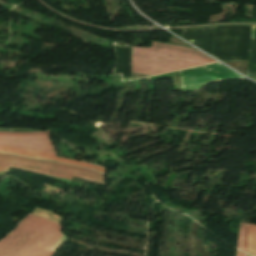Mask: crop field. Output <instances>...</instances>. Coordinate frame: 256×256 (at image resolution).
Segmentation results:
<instances>
[{"label": "crop field", "mask_w": 256, "mask_h": 256, "mask_svg": "<svg viewBox=\"0 0 256 256\" xmlns=\"http://www.w3.org/2000/svg\"><path fill=\"white\" fill-rule=\"evenodd\" d=\"M66 239L60 224L30 214L0 240V256H52Z\"/></svg>", "instance_id": "obj_1"}, {"label": "crop field", "mask_w": 256, "mask_h": 256, "mask_svg": "<svg viewBox=\"0 0 256 256\" xmlns=\"http://www.w3.org/2000/svg\"><path fill=\"white\" fill-rule=\"evenodd\" d=\"M209 62L214 61L193 49L157 42L152 48L132 47V72L137 73L156 75Z\"/></svg>", "instance_id": "obj_2"}, {"label": "crop field", "mask_w": 256, "mask_h": 256, "mask_svg": "<svg viewBox=\"0 0 256 256\" xmlns=\"http://www.w3.org/2000/svg\"><path fill=\"white\" fill-rule=\"evenodd\" d=\"M0 145L54 153V146L50 140L49 131L39 133H10L0 132ZM0 153L15 154L19 156L33 157V158H45L57 162L69 163L85 168L105 172V168H101L95 165L73 161L69 159L59 158L53 154L11 148L0 146Z\"/></svg>", "instance_id": "obj_3"}, {"label": "crop field", "mask_w": 256, "mask_h": 256, "mask_svg": "<svg viewBox=\"0 0 256 256\" xmlns=\"http://www.w3.org/2000/svg\"><path fill=\"white\" fill-rule=\"evenodd\" d=\"M8 166L69 180L75 176L105 185L103 173L43 160L0 155V170L6 171Z\"/></svg>", "instance_id": "obj_4"}, {"label": "crop field", "mask_w": 256, "mask_h": 256, "mask_svg": "<svg viewBox=\"0 0 256 256\" xmlns=\"http://www.w3.org/2000/svg\"><path fill=\"white\" fill-rule=\"evenodd\" d=\"M182 88L206 82L243 78L220 63L179 72Z\"/></svg>", "instance_id": "obj_5"}, {"label": "crop field", "mask_w": 256, "mask_h": 256, "mask_svg": "<svg viewBox=\"0 0 256 256\" xmlns=\"http://www.w3.org/2000/svg\"><path fill=\"white\" fill-rule=\"evenodd\" d=\"M247 252L256 255V225L249 224Z\"/></svg>", "instance_id": "obj_6"}, {"label": "crop field", "mask_w": 256, "mask_h": 256, "mask_svg": "<svg viewBox=\"0 0 256 256\" xmlns=\"http://www.w3.org/2000/svg\"><path fill=\"white\" fill-rule=\"evenodd\" d=\"M248 224L241 223L237 248L246 252Z\"/></svg>", "instance_id": "obj_7"}, {"label": "crop field", "mask_w": 256, "mask_h": 256, "mask_svg": "<svg viewBox=\"0 0 256 256\" xmlns=\"http://www.w3.org/2000/svg\"><path fill=\"white\" fill-rule=\"evenodd\" d=\"M236 256H244V253L238 250Z\"/></svg>", "instance_id": "obj_8"}, {"label": "crop field", "mask_w": 256, "mask_h": 256, "mask_svg": "<svg viewBox=\"0 0 256 256\" xmlns=\"http://www.w3.org/2000/svg\"><path fill=\"white\" fill-rule=\"evenodd\" d=\"M245 256H250V255H248V254L245 253Z\"/></svg>", "instance_id": "obj_9"}]
</instances>
